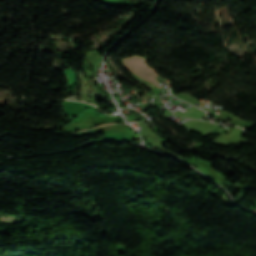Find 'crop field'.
<instances>
[{
	"instance_id": "obj_1",
	"label": "crop field",
	"mask_w": 256,
	"mask_h": 256,
	"mask_svg": "<svg viewBox=\"0 0 256 256\" xmlns=\"http://www.w3.org/2000/svg\"><path fill=\"white\" fill-rule=\"evenodd\" d=\"M122 60L127 63L134 71H136L140 76L145 78L147 81L152 83L158 89H162L159 85V82L156 80V77L159 76L153 69L149 68L145 63V57L141 56H131L128 58H122Z\"/></svg>"
}]
</instances>
